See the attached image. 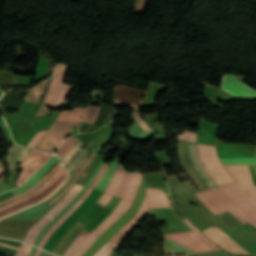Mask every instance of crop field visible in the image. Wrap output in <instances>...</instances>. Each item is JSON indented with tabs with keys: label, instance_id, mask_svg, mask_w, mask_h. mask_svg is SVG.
<instances>
[{
	"label": "crop field",
	"instance_id": "35",
	"mask_svg": "<svg viewBox=\"0 0 256 256\" xmlns=\"http://www.w3.org/2000/svg\"><path fill=\"white\" fill-rule=\"evenodd\" d=\"M184 221L190 226L192 227L204 240H206L211 246H213L214 248H216L217 250L221 249L218 246H216L214 243H212L209 239H207L198 229H196L189 220L184 219Z\"/></svg>",
	"mask_w": 256,
	"mask_h": 256
},
{
	"label": "crop field",
	"instance_id": "49",
	"mask_svg": "<svg viewBox=\"0 0 256 256\" xmlns=\"http://www.w3.org/2000/svg\"><path fill=\"white\" fill-rule=\"evenodd\" d=\"M89 156H90V155H89ZM89 156H88V157H89ZM88 157H87V158H88ZM87 158H86V159H87ZM86 159H85V160H86ZM85 160H84V161H85ZM84 161H83V162H84ZM71 177H72V176H71Z\"/></svg>",
	"mask_w": 256,
	"mask_h": 256
},
{
	"label": "crop field",
	"instance_id": "9",
	"mask_svg": "<svg viewBox=\"0 0 256 256\" xmlns=\"http://www.w3.org/2000/svg\"><path fill=\"white\" fill-rule=\"evenodd\" d=\"M67 68L68 66L61 64L58 65L44 99L45 102L61 104L65 100L71 88L70 85L63 84Z\"/></svg>",
	"mask_w": 256,
	"mask_h": 256
},
{
	"label": "crop field",
	"instance_id": "15",
	"mask_svg": "<svg viewBox=\"0 0 256 256\" xmlns=\"http://www.w3.org/2000/svg\"><path fill=\"white\" fill-rule=\"evenodd\" d=\"M63 165L61 163V161L57 164V166L48 174L46 175L40 182H38L34 187H32L31 189L21 193V194H18L14 197H11L9 199H6L2 202H0V209L7 206V205H10V204H13L19 200H22L38 191H40L41 189H43L45 186H47L59 173L60 171L63 169Z\"/></svg>",
	"mask_w": 256,
	"mask_h": 256
},
{
	"label": "crop field",
	"instance_id": "42",
	"mask_svg": "<svg viewBox=\"0 0 256 256\" xmlns=\"http://www.w3.org/2000/svg\"><path fill=\"white\" fill-rule=\"evenodd\" d=\"M41 256H48V253H46V252H42V254H41Z\"/></svg>",
	"mask_w": 256,
	"mask_h": 256
},
{
	"label": "crop field",
	"instance_id": "43",
	"mask_svg": "<svg viewBox=\"0 0 256 256\" xmlns=\"http://www.w3.org/2000/svg\"><path fill=\"white\" fill-rule=\"evenodd\" d=\"M94 155H95V154H94ZM94 155H93V156H94ZM93 156H92V157H93ZM89 161H90V160H89ZM89 161H88V162H89ZM88 162H87V163H88ZM87 163H86V164H87ZM86 164H85V165H86ZM85 165H84V166H85ZM84 166H83V168H84ZM83 168H82V169H83ZM82 169H81V170H82ZM81 170H80V171H81ZM80 171H79V173H80ZM79 173H78V174H79ZM78 174L76 175V177L78 176ZM76 177H75V178H76ZM75 178H74V179H75ZM74 179H73V180H74Z\"/></svg>",
	"mask_w": 256,
	"mask_h": 256
},
{
	"label": "crop field",
	"instance_id": "20",
	"mask_svg": "<svg viewBox=\"0 0 256 256\" xmlns=\"http://www.w3.org/2000/svg\"><path fill=\"white\" fill-rule=\"evenodd\" d=\"M86 108H74L71 111H61L56 123L76 127L81 121Z\"/></svg>",
	"mask_w": 256,
	"mask_h": 256
},
{
	"label": "crop field",
	"instance_id": "18",
	"mask_svg": "<svg viewBox=\"0 0 256 256\" xmlns=\"http://www.w3.org/2000/svg\"><path fill=\"white\" fill-rule=\"evenodd\" d=\"M148 212V202L146 195L144 197L143 205L140 208L139 212L136 214V216L123 228L121 229L117 234H115L111 240H113L116 243H121L122 240L130 233V231L136 226L137 221H141L144 216Z\"/></svg>",
	"mask_w": 256,
	"mask_h": 256
},
{
	"label": "crop field",
	"instance_id": "47",
	"mask_svg": "<svg viewBox=\"0 0 256 256\" xmlns=\"http://www.w3.org/2000/svg\"><path fill=\"white\" fill-rule=\"evenodd\" d=\"M0 94H2V90H1V88H0Z\"/></svg>",
	"mask_w": 256,
	"mask_h": 256
},
{
	"label": "crop field",
	"instance_id": "25",
	"mask_svg": "<svg viewBox=\"0 0 256 256\" xmlns=\"http://www.w3.org/2000/svg\"><path fill=\"white\" fill-rule=\"evenodd\" d=\"M118 166H119V163L111 161V163L108 166V169L105 170V172L101 176L99 182L95 186V189H98V190L104 192L108 183L110 182L112 176L114 175L115 171L117 170Z\"/></svg>",
	"mask_w": 256,
	"mask_h": 256
},
{
	"label": "crop field",
	"instance_id": "34",
	"mask_svg": "<svg viewBox=\"0 0 256 256\" xmlns=\"http://www.w3.org/2000/svg\"><path fill=\"white\" fill-rule=\"evenodd\" d=\"M179 139L196 142V133L186 131L179 136Z\"/></svg>",
	"mask_w": 256,
	"mask_h": 256
},
{
	"label": "crop field",
	"instance_id": "45",
	"mask_svg": "<svg viewBox=\"0 0 256 256\" xmlns=\"http://www.w3.org/2000/svg\"><path fill=\"white\" fill-rule=\"evenodd\" d=\"M0 244L5 245V246H9V245L3 244V243H0ZM9 247H13V246H9ZM13 248H17V247H13ZM17 249H19V248H17Z\"/></svg>",
	"mask_w": 256,
	"mask_h": 256
},
{
	"label": "crop field",
	"instance_id": "14",
	"mask_svg": "<svg viewBox=\"0 0 256 256\" xmlns=\"http://www.w3.org/2000/svg\"><path fill=\"white\" fill-rule=\"evenodd\" d=\"M221 89L240 98L256 97V91L249 88L236 76L223 75Z\"/></svg>",
	"mask_w": 256,
	"mask_h": 256
},
{
	"label": "crop field",
	"instance_id": "8",
	"mask_svg": "<svg viewBox=\"0 0 256 256\" xmlns=\"http://www.w3.org/2000/svg\"><path fill=\"white\" fill-rule=\"evenodd\" d=\"M82 186L74 184L71 190L27 232L24 241L34 244L40 230L49 223L80 191Z\"/></svg>",
	"mask_w": 256,
	"mask_h": 256
},
{
	"label": "crop field",
	"instance_id": "3",
	"mask_svg": "<svg viewBox=\"0 0 256 256\" xmlns=\"http://www.w3.org/2000/svg\"><path fill=\"white\" fill-rule=\"evenodd\" d=\"M189 152H190V158L198 171L199 175L203 178V180H206V183L210 188L216 187V184L213 182L211 177L208 175L206 170L203 168L197 153H196V144L190 143L189 142ZM189 152H188V142L180 141V146H179V153H180V158L181 161L187 170L189 176L193 180V182L196 184V186L201 190H206L209 189L207 184L202 180V178L198 175L196 172L190 158H189Z\"/></svg>",
	"mask_w": 256,
	"mask_h": 256
},
{
	"label": "crop field",
	"instance_id": "30",
	"mask_svg": "<svg viewBox=\"0 0 256 256\" xmlns=\"http://www.w3.org/2000/svg\"><path fill=\"white\" fill-rule=\"evenodd\" d=\"M79 140L75 137H69L62 145L61 149L58 151L56 155H58L61 159L66 154V152L71 148V146Z\"/></svg>",
	"mask_w": 256,
	"mask_h": 256
},
{
	"label": "crop field",
	"instance_id": "39",
	"mask_svg": "<svg viewBox=\"0 0 256 256\" xmlns=\"http://www.w3.org/2000/svg\"><path fill=\"white\" fill-rule=\"evenodd\" d=\"M190 256H211L209 252L189 254Z\"/></svg>",
	"mask_w": 256,
	"mask_h": 256
},
{
	"label": "crop field",
	"instance_id": "28",
	"mask_svg": "<svg viewBox=\"0 0 256 256\" xmlns=\"http://www.w3.org/2000/svg\"><path fill=\"white\" fill-rule=\"evenodd\" d=\"M90 151L82 149L76 157L69 163V165L66 167L70 172L83 160V158L89 153Z\"/></svg>",
	"mask_w": 256,
	"mask_h": 256
},
{
	"label": "crop field",
	"instance_id": "22",
	"mask_svg": "<svg viewBox=\"0 0 256 256\" xmlns=\"http://www.w3.org/2000/svg\"><path fill=\"white\" fill-rule=\"evenodd\" d=\"M13 146L14 148L11 149L8 158L11 172L14 171L15 167L22 161V159L32 151V149L23 146H18L15 143Z\"/></svg>",
	"mask_w": 256,
	"mask_h": 256
},
{
	"label": "crop field",
	"instance_id": "40",
	"mask_svg": "<svg viewBox=\"0 0 256 256\" xmlns=\"http://www.w3.org/2000/svg\"><path fill=\"white\" fill-rule=\"evenodd\" d=\"M73 185V184H72ZM72 185L70 186V188L72 187ZM69 188V189H70ZM69 189L64 193V194H62L54 203H52L51 205H55L68 191H69Z\"/></svg>",
	"mask_w": 256,
	"mask_h": 256
},
{
	"label": "crop field",
	"instance_id": "24",
	"mask_svg": "<svg viewBox=\"0 0 256 256\" xmlns=\"http://www.w3.org/2000/svg\"><path fill=\"white\" fill-rule=\"evenodd\" d=\"M164 251H165V255H180L185 253L196 252L182 245H179L165 237H164Z\"/></svg>",
	"mask_w": 256,
	"mask_h": 256
},
{
	"label": "crop field",
	"instance_id": "10",
	"mask_svg": "<svg viewBox=\"0 0 256 256\" xmlns=\"http://www.w3.org/2000/svg\"><path fill=\"white\" fill-rule=\"evenodd\" d=\"M73 128L53 124L36 149L54 153L61 143L69 136Z\"/></svg>",
	"mask_w": 256,
	"mask_h": 256
},
{
	"label": "crop field",
	"instance_id": "17",
	"mask_svg": "<svg viewBox=\"0 0 256 256\" xmlns=\"http://www.w3.org/2000/svg\"><path fill=\"white\" fill-rule=\"evenodd\" d=\"M164 236L196 251L212 249L206 242L199 238L195 232L168 234Z\"/></svg>",
	"mask_w": 256,
	"mask_h": 256
},
{
	"label": "crop field",
	"instance_id": "33",
	"mask_svg": "<svg viewBox=\"0 0 256 256\" xmlns=\"http://www.w3.org/2000/svg\"><path fill=\"white\" fill-rule=\"evenodd\" d=\"M46 132L45 131H40V132H37L33 138L30 140V142L27 144L28 147H32L34 148V146L37 144V142L40 140V138L43 136V134Z\"/></svg>",
	"mask_w": 256,
	"mask_h": 256
},
{
	"label": "crop field",
	"instance_id": "44",
	"mask_svg": "<svg viewBox=\"0 0 256 256\" xmlns=\"http://www.w3.org/2000/svg\"><path fill=\"white\" fill-rule=\"evenodd\" d=\"M68 187H69V186H68ZM68 187H67V188H68ZM67 188H66V189H67ZM66 189H65L63 192H65ZM63 192H62V193H63ZM62 193H61V194H62ZM61 194H60V195H61ZM60 195H59V196H60ZM59 196H58V197H59ZM56 198H57V197H56ZM56 198H55V199H56ZM55 199H54V200H55ZM54 200H52L51 202H53ZM51 202H50V203H51ZM50 203H49V204H50Z\"/></svg>",
	"mask_w": 256,
	"mask_h": 256
},
{
	"label": "crop field",
	"instance_id": "29",
	"mask_svg": "<svg viewBox=\"0 0 256 256\" xmlns=\"http://www.w3.org/2000/svg\"><path fill=\"white\" fill-rule=\"evenodd\" d=\"M84 146V144L79 140L73 147L68 151L66 156L63 158L62 162L66 166L69 160Z\"/></svg>",
	"mask_w": 256,
	"mask_h": 256
},
{
	"label": "crop field",
	"instance_id": "12",
	"mask_svg": "<svg viewBox=\"0 0 256 256\" xmlns=\"http://www.w3.org/2000/svg\"><path fill=\"white\" fill-rule=\"evenodd\" d=\"M223 231L247 251L252 254L256 253V228L246 223L234 230L232 234L226 229H223Z\"/></svg>",
	"mask_w": 256,
	"mask_h": 256
},
{
	"label": "crop field",
	"instance_id": "31",
	"mask_svg": "<svg viewBox=\"0 0 256 256\" xmlns=\"http://www.w3.org/2000/svg\"><path fill=\"white\" fill-rule=\"evenodd\" d=\"M98 109L99 108H97V107H89L83 121L93 123V121L95 120V118L97 116Z\"/></svg>",
	"mask_w": 256,
	"mask_h": 256
},
{
	"label": "crop field",
	"instance_id": "16",
	"mask_svg": "<svg viewBox=\"0 0 256 256\" xmlns=\"http://www.w3.org/2000/svg\"><path fill=\"white\" fill-rule=\"evenodd\" d=\"M207 237H209L213 242L223 249L231 253H240V254H250L245 251L242 247L232 241L228 236H226L219 228L210 227L202 231Z\"/></svg>",
	"mask_w": 256,
	"mask_h": 256
},
{
	"label": "crop field",
	"instance_id": "27",
	"mask_svg": "<svg viewBox=\"0 0 256 256\" xmlns=\"http://www.w3.org/2000/svg\"><path fill=\"white\" fill-rule=\"evenodd\" d=\"M124 172H125L124 166L121 164L120 168L116 171L114 177L112 178V180L106 190V193H109L112 195L114 194Z\"/></svg>",
	"mask_w": 256,
	"mask_h": 256
},
{
	"label": "crop field",
	"instance_id": "6",
	"mask_svg": "<svg viewBox=\"0 0 256 256\" xmlns=\"http://www.w3.org/2000/svg\"><path fill=\"white\" fill-rule=\"evenodd\" d=\"M198 153L202 164L218 185L234 181L219 161L215 146L198 144Z\"/></svg>",
	"mask_w": 256,
	"mask_h": 256
},
{
	"label": "crop field",
	"instance_id": "1",
	"mask_svg": "<svg viewBox=\"0 0 256 256\" xmlns=\"http://www.w3.org/2000/svg\"><path fill=\"white\" fill-rule=\"evenodd\" d=\"M218 155L238 184L252 197H256V187L252 183L248 165L256 164L251 153L232 148L224 144H216ZM256 200V198H255Z\"/></svg>",
	"mask_w": 256,
	"mask_h": 256
},
{
	"label": "crop field",
	"instance_id": "2",
	"mask_svg": "<svg viewBox=\"0 0 256 256\" xmlns=\"http://www.w3.org/2000/svg\"><path fill=\"white\" fill-rule=\"evenodd\" d=\"M214 214H220L229 210L242 224L250 222L256 223L238 207L220 188H214L196 195Z\"/></svg>",
	"mask_w": 256,
	"mask_h": 256
},
{
	"label": "crop field",
	"instance_id": "26",
	"mask_svg": "<svg viewBox=\"0 0 256 256\" xmlns=\"http://www.w3.org/2000/svg\"><path fill=\"white\" fill-rule=\"evenodd\" d=\"M47 81H44L43 83L32 87L30 92L28 93L25 101L40 102L43 92H44V89L46 87Z\"/></svg>",
	"mask_w": 256,
	"mask_h": 256
},
{
	"label": "crop field",
	"instance_id": "4",
	"mask_svg": "<svg viewBox=\"0 0 256 256\" xmlns=\"http://www.w3.org/2000/svg\"><path fill=\"white\" fill-rule=\"evenodd\" d=\"M137 174H138V172H135V173H134V175H133V177H132V179H131V182H130V184H129V186H128V189H127V191H126L124 197L121 199V201L118 203V205L114 208V210L107 216V218H106L100 225H98V226L95 228L96 231L114 215V213L117 211V209H118V208L122 205V203L126 200V198H127L128 194H129V192H130V190H131V187H132V185H133V183H134V180H135ZM139 175H140V173L138 174V176H137V178H136V180H135V183H134V185H133V187H132V190H131V192H130L128 198H127V200L123 203V205L119 208V210L116 212V214H115L106 224H108V223L118 214V212L123 208V206L126 204V202L128 201V199H129V197H130V195H131V193H132V191H133V188H134V186H135V184H136V181H137ZM142 176H143V174L141 173V175H140V177H139V179H138V181H137V184H136V186H135V188H134V191H133V193H132V195H131L129 201H128L127 204L124 206V208L120 211V213H119L108 225L104 224L97 232L94 230V231L86 238L88 241H90V242L93 244V243L96 241V239H97L105 230H107V228H108L110 225H112V224L128 209V207L130 206V204H131L132 201H133V198H134V196H135L136 190H137V188H138V186H139V183H140V181H141ZM105 225H106V226H105ZM104 226H105V227H104ZM103 227H104V228H103ZM102 228H103V229H102ZM101 229H102V230H101ZM100 230H101V231H100ZM99 231H100V232H99ZM98 232L100 233V235H99ZM86 239L80 244V246L77 248V250L73 253L72 256H82V255L85 253V251L92 245V244H91L90 242H88Z\"/></svg>",
	"mask_w": 256,
	"mask_h": 256
},
{
	"label": "crop field",
	"instance_id": "7",
	"mask_svg": "<svg viewBox=\"0 0 256 256\" xmlns=\"http://www.w3.org/2000/svg\"><path fill=\"white\" fill-rule=\"evenodd\" d=\"M68 174L66 169L64 168L61 173L42 191L32 195L31 197H28L22 201H19L13 205L7 206L0 210V219L15 212L20 209L32 206L41 200H43L45 197H47L49 194H51L53 191H55L67 178Z\"/></svg>",
	"mask_w": 256,
	"mask_h": 256
},
{
	"label": "crop field",
	"instance_id": "48",
	"mask_svg": "<svg viewBox=\"0 0 256 256\" xmlns=\"http://www.w3.org/2000/svg\"><path fill=\"white\" fill-rule=\"evenodd\" d=\"M63 187H64V186H63ZM63 187H62V188H63ZM62 188H61V189H62ZM61 189H60V190H61ZM60 190H59V191H60ZM59 191H58V192H59ZM48 200H49V199H48ZM45 202H46V201H45Z\"/></svg>",
	"mask_w": 256,
	"mask_h": 256
},
{
	"label": "crop field",
	"instance_id": "32",
	"mask_svg": "<svg viewBox=\"0 0 256 256\" xmlns=\"http://www.w3.org/2000/svg\"><path fill=\"white\" fill-rule=\"evenodd\" d=\"M30 250L31 246L22 243L15 256H29Z\"/></svg>",
	"mask_w": 256,
	"mask_h": 256
},
{
	"label": "crop field",
	"instance_id": "19",
	"mask_svg": "<svg viewBox=\"0 0 256 256\" xmlns=\"http://www.w3.org/2000/svg\"><path fill=\"white\" fill-rule=\"evenodd\" d=\"M144 91L118 86L116 87L115 99L139 105Z\"/></svg>",
	"mask_w": 256,
	"mask_h": 256
},
{
	"label": "crop field",
	"instance_id": "37",
	"mask_svg": "<svg viewBox=\"0 0 256 256\" xmlns=\"http://www.w3.org/2000/svg\"><path fill=\"white\" fill-rule=\"evenodd\" d=\"M205 94L217 99L218 89L208 84Z\"/></svg>",
	"mask_w": 256,
	"mask_h": 256
},
{
	"label": "crop field",
	"instance_id": "46",
	"mask_svg": "<svg viewBox=\"0 0 256 256\" xmlns=\"http://www.w3.org/2000/svg\"><path fill=\"white\" fill-rule=\"evenodd\" d=\"M4 172V169L0 168V175Z\"/></svg>",
	"mask_w": 256,
	"mask_h": 256
},
{
	"label": "crop field",
	"instance_id": "36",
	"mask_svg": "<svg viewBox=\"0 0 256 256\" xmlns=\"http://www.w3.org/2000/svg\"><path fill=\"white\" fill-rule=\"evenodd\" d=\"M135 114V119L137 120V122L141 125V127L144 129V131H150L149 128L145 125V123L142 121V119L138 116L137 111H132ZM135 120V122H136ZM136 122L137 126L139 127V129L141 130V132H144L143 129L139 126V124Z\"/></svg>",
	"mask_w": 256,
	"mask_h": 256
},
{
	"label": "crop field",
	"instance_id": "21",
	"mask_svg": "<svg viewBox=\"0 0 256 256\" xmlns=\"http://www.w3.org/2000/svg\"><path fill=\"white\" fill-rule=\"evenodd\" d=\"M149 208L170 207L167 194L159 189L146 188Z\"/></svg>",
	"mask_w": 256,
	"mask_h": 256
},
{
	"label": "crop field",
	"instance_id": "5",
	"mask_svg": "<svg viewBox=\"0 0 256 256\" xmlns=\"http://www.w3.org/2000/svg\"><path fill=\"white\" fill-rule=\"evenodd\" d=\"M145 194V179L143 177L138 188L137 194L132 206L127 212L118 219L104 234H102L97 241L87 250L83 256H92L99 248H101L119 229H121L129 220L133 218L135 213L139 210L141 202Z\"/></svg>",
	"mask_w": 256,
	"mask_h": 256
},
{
	"label": "crop field",
	"instance_id": "41",
	"mask_svg": "<svg viewBox=\"0 0 256 256\" xmlns=\"http://www.w3.org/2000/svg\"><path fill=\"white\" fill-rule=\"evenodd\" d=\"M97 155H98V154H96V155L94 156V158H95ZM94 158H93V159H94ZM93 159L88 163V165L93 161ZM88 165H87V166H88ZM87 166H86V167H87ZM86 167H85V168H86ZM85 168H84V169H85ZM84 169H83V171H84ZM83 171H82V172H83ZM82 172H81V173H82ZM81 173H80V175H81ZM80 175H79V176H80ZM79 176H78V177H79ZM78 177H77V179H78ZM77 179H76V180H77ZM76 180L74 181V183L76 182Z\"/></svg>",
	"mask_w": 256,
	"mask_h": 256
},
{
	"label": "crop field",
	"instance_id": "11",
	"mask_svg": "<svg viewBox=\"0 0 256 256\" xmlns=\"http://www.w3.org/2000/svg\"><path fill=\"white\" fill-rule=\"evenodd\" d=\"M228 196L256 222V202L237 183L221 186Z\"/></svg>",
	"mask_w": 256,
	"mask_h": 256
},
{
	"label": "crop field",
	"instance_id": "38",
	"mask_svg": "<svg viewBox=\"0 0 256 256\" xmlns=\"http://www.w3.org/2000/svg\"><path fill=\"white\" fill-rule=\"evenodd\" d=\"M112 198V195H108L103 193L102 196L99 198V200L97 201V203L101 204L102 206H106V204L110 201V199Z\"/></svg>",
	"mask_w": 256,
	"mask_h": 256
},
{
	"label": "crop field",
	"instance_id": "50",
	"mask_svg": "<svg viewBox=\"0 0 256 256\" xmlns=\"http://www.w3.org/2000/svg\"><path fill=\"white\" fill-rule=\"evenodd\" d=\"M49 256H52V255H49Z\"/></svg>",
	"mask_w": 256,
	"mask_h": 256
},
{
	"label": "crop field",
	"instance_id": "13",
	"mask_svg": "<svg viewBox=\"0 0 256 256\" xmlns=\"http://www.w3.org/2000/svg\"><path fill=\"white\" fill-rule=\"evenodd\" d=\"M52 155L35 151L33 150L30 155L20 164L23 169L20 174V178L17 181V185H20L19 182L26 181L29 179L34 172L39 169Z\"/></svg>",
	"mask_w": 256,
	"mask_h": 256
},
{
	"label": "crop field",
	"instance_id": "23",
	"mask_svg": "<svg viewBox=\"0 0 256 256\" xmlns=\"http://www.w3.org/2000/svg\"><path fill=\"white\" fill-rule=\"evenodd\" d=\"M85 226L81 225L77 222V224L71 228L61 239V241L58 243V245L55 247V249L52 251V253L60 255L63 253V251L66 249V247L69 245V243L73 240V238L84 228Z\"/></svg>",
	"mask_w": 256,
	"mask_h": 256
}]
</instances>
